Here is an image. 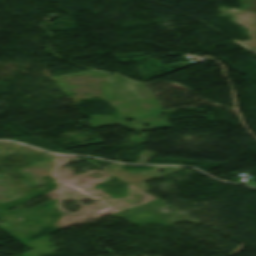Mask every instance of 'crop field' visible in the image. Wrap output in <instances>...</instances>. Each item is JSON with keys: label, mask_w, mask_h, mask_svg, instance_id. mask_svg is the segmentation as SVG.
Masks as SVG:
<instances>
[{"label": "crop field", "mask_w": 256, "mask_h": 256, "mask_svg": "<svg viewBox=\"0 0 256 256\" xmlns=\"http://www.w3.org/2000/svg\"><path fill=\"white\" fill-rule=\"evenodd\" d=\"M241 10L256 11V0H237Z\"/></svg>", "instance_id": "8a807250"}]
</instances>
